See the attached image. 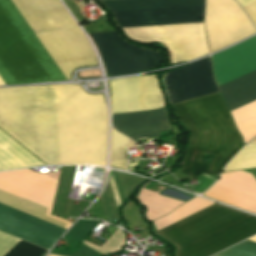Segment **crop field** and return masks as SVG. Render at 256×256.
Here are the masks:
<instances>
[{"label":"crop field","mask_w":256,"mask_h":256,"mask_svg":"<svg viewBox=\"0 0 256 256\" xmlns=\"http://www.w3.org/2000/svg\"><path fill=\"white\" fill-rule=\"evenodd\" d=\"M111 157L110 165L125 169L128 161L126 147L135 146L133 141L111 128Z\"/></svg>","instance_id":"21"},{"label":"crop field","mask_w":256,"mask_h":256,"mask_svg":"<svg viewBox=\"0 0 256 256\" xmlns=\"http://www.w3.org/2000/svg\"><path fill=\"white\" fill-rule=\"evenodd\" d=\"M45 165L0 129V170Z\"/></svg>","instance_id":"15"},{"label":"crop field","mask_w":256,"mask_h":256,"mask_svg":"<svg viewBox=\"0 0 256 256\" xmlns=\"http://www.w3.org/2000/svg\"><path fill=\"white\" fill-rule=\"evenodd\" d=\"M58 164L105 165L102 95L54 85ZM0 127L47 165L57 164L53 85L0 88Z\"/></svg>","instance_id":"1"},{"label":"crop field","mask_w":256,"mask_h":256,"mask_svg":"<svg viewBox=\"0 0 256 256\" xmlns=\"http://www.w3.org/2000/svg\"><path fill=\"white\" fill-rule=\"evenodd\" d=\"M229 111L256 100V70L219 86ZM234 123L247 143L256 135V101L231 111Z\"/></svg>","instance_id":"9"},{"label":"crop field","mask_w":256,"mask_h":256,"mask_svg":"<svg viewBox=\"0 0 256 256\" xmlns=\"http://www.w3.org/2000/svg\"><path fill=\"white\" fill-rule=\"evenodd\" d=\"M116 173L117 179H115L120 203H122L133 191L139 186L145 179L137 178L124 173ZM106 213L108 219H119L117 215V208L114 201V197L111 191L109 180L107 186L102 194Z\"/></svg>","instance_id":"17"},{"label":"crop field","mask_w":256,"mask_h":256,"mask_svg":"<svg viewBox=\"0 0 256 256\" xmlns=\"http://www.w3.org/2000/svg\"><path fill=\"white\" fill-rule=\"evenodd\" d=\"M0 85H5L4 82L0 78Z\"/></svg>","instance_id":"26"},{"label":"crop field","mask_w":256,"mask_h":256,"mask_svg":"<svg viewBox=\"0 0 256 256\" xmlns=\"http://www.w3.org/2000/svg\"><path fill=\"white\" fill-rule=\"evenodd\" d=\"M256 233V217L213 204L155 234L174 244L177 256H209Z\"/></svg>","instance_id":"6"},{"label":"crop field","mask_w":256,"mask_h":256,"mask_svg":"<svg viewBox=\"0 0 256 256\" xmlns=\"http://www.w3.org/2000/svg\"><path fill=\"white\" fill-rule=\"evenodd\" d=\"M48 256H56V255L48 254Z\"/></svg>","instance_id":"27"},{"label":"crop field","mask_w":256,"mask_h":256,"mask_svg":"<svg viewBox=\"0 0 256 256\" xmlns=\"http://www.w3.org/2000/svg\"><path fill=\"white\" fill-rule=\"evenodd\" d=\"M58 181L29 169L0 172V202L65 227L67 221L50 217V211ZM0 203V231L49 249L66 228L44 221ZM48 209V213H47ZM46 213L48 215H46Z\"/></svg>","instance_id":"4"},{"label":"crop field","mask_w":256,"mask_h":256,"mask_svg":"<svg viewBox=\"0 0 256 256\" xmlns=\"http://www.w3.org/2000/svg\"><path fill=\"white\" fill-rule=\"evenodd\" d=\"M214 202L196 197L193 198L192 200L186 202L185 204L181 205L180 207H178L176 210H174L172 213L163 216L157 220H155L153 223V225L155 226V228L158 230L212 204Z\"/></svg>","instance_id":"20"},{"label":"crop field","mask_w":256,"mask_h":256,"mask_svg":"<svg viewBox=\"0 0 256 256\" xmlns=\"http://www.w3.org/2000/svg\"><path fill=\"white\" fill-rule=\"evenodd\" d=\"M112 125L133 140L156 137L159 132L172 129L165 107L155 111L112 115Z\"/></svg>","instance_id":"14"},{"label":"crop field","mask_w":256,"mask_h":256,"mask_svg":"<svg viewBox=\"0 0 256 256\" xmlns=\"http://www.w3.org/2000/svg\"><path fill=\"white\" fill-rule=\"evenodd\" d=\"M215 256H256V243L245 240Z\"/></svg>","instance_id":"24"},{"label":"crop field","mask_w":256,"mask_h":256,"mask_svg":"<svg viewBox=\"0 0 256 256\" xmlns=\"http://www.w3.org/2000/svg\"><path fill=\"white\" fill-rule=\"evenodd\" d=\"M111 114L163 107L154 75L109 81Z\"/></svg>","instance_id":"10"},{"label":"crop field","mask_w":256,"mask_h":256,"mask_svg":"<svg viewBox=\"0 0 256 256\" xmlns=\"http://www.w3.org/2000/svg\"><path fill=\"white\" fill-rule=\"evenodd\" d=\"M138 199L146 207V218L150 221L171 212L183 203L143 189H141Z\"/></svg>","instance_id":"18"},{"label":"crop field","mask_w":256,"mask_h":256,"mask_svg":"<svg viewBox=\"0 0 256 256\" xmlns=\"http://www.w3.org/2000/svg\"><path fill=\"white\" fill-rule=\"evenodd\" d=\"M96 46L108 76L140 73L159 66L161 54L123 41L117 32L88 34Z\"/></svg>","instance_id":"7"},{"label":"crop field","mask_w":256,"mask_h":256,"mask_svg":"<svg viewBox=\"0 0 256 256\" xmlns=\"http://www.w3.org/2000/svg\"><path fill=\"white\" fill-rule=\"evenodd\" d=\"M68 78L97 65L84 34L59 0H10ZM9 0H0V77L7 85L69 80Z\"/></svg>","instance_id":"2"},{"label":"crop field","mask_w":256,"mask_h":256,"mask_svg":"<svg viewBox=\"0 0 256 256\" xmlns=\"http://www.w3.org/2000/svg\"><path fill=\"white\" fill-rule=\"evenodd\" d=\"M205 196L256 214V179L250 173H222Z\"/></svg>","instance_id":"12"},{"label":"crop field","mask_w":256,"mask_h":256,"mask_svg":"<svg viewBox=\"0 0 256 256\" xmlns=\"http://www.w3.org/2000/svg\"><path fill=\"white\" fill-rule=\"evenodd\" d=\"M124 237L125 232H121L119 229H117L101 247L85 240H83L82 243L104 255L122 249L124 244Z\"/></svg>","instance_id":"23"},{"label":"crop field","mask_w":256,"mask_h":256,"mask_svg":"<svg viewBox=\"0 0 256 256\" xmlns=\"http://www.w3.org/2000/svg\"><path fill=\"white\" fill-rule=\"evenodd\" d=\"M236 1H238L242 6L252 0H236ZM242 8L245 10V12L248 14V16L251 18V20L256 26V0L242 6Z\"/></svg>","instance_id":"25"},{"label":"crop field","mask_w":256,"mask_h":256,"mask_svg":"<svg viewBox=\"0 0 256 256\" xmlns=\"http://www.w3.org/2000/svg\"><path fill=\"white\" fill-rule=\"evenodd\" d=\"M120 27L203 23L204 0H102ZM135 41H160L172 64L208 54L203 24L121 28Z\"/></svg>","instance_id":"3"},{"label":"crop field","mask_w":256,"mask_h":256,"mask_svg":"<svg viewBox=\"0 0 256 256\" xmlns=\"http://www.w3.org/2000/svg\"><path fill=\"white\" fill-rule=\"evenodd\" d=\"M204 23L210 52L256 32L253 24L233 0H206Z\"/></svg>","instance_id":"8"},{"label":"crop field","mask_w":256,"mask_h":256,"mask_svg":"<svg viewBox=\"0 0 256 256\" xmlns=\"http://www.w3.org/2000/svg\"><path fill=\"white\" fill-rule=\"evenodd\" d=\"M217 85L256 69V36L211 57ZM226 84V83H225Z\"/></svg>","instance_id":"13"},{"label":"crop field","mask_w":256,"mask_h":256,"mask_svg":"<svg viewBox=\"0 0 256 256\" xmlns=\"http://www.w3.org/2000/svg\"><path fill=\"white\" fill-rule=\"evenodd\" d=\"M251 143H256L254 139ZM256 167V144L247 145L223 171Z\"/></svg>","instance_id":"22"},{"label":"crop field","mask_w":256,"mask_h":256,"mask_svg":"<svg viewBox=\"0 0 256 256\" xmlns=\"http://www.w3.org/2000/svg\"><path fill=\"white\" fill-rule=\"evenodd\" d=\"M75 169L76 167H62L51 213L77 216L80 212L82 202H80L79 206H75L71 205V199L66 198L72 187ZM86 205L87 203L83 202L82 209Z\"/></svg>","instance_id":"16"},{"label":"crop field","mask_w":256,"mask_h":256,"mask_svg":"<svg viewBox=\"0 0 256 256\" xmlns=\"http://www.w3.org/2000/svg\"><path fill=\"white\" fill-rule=\"evenodd\" d=\"M172 107L191 133L189 150L179 171L193 178L202 172L217 177L243 145L220 93ZM204 154L218 155L208 165L200 162Z\"/></svg>","instance_id":"5"},{"label":"crop field","mask_w":256,"mask_h":256,"mask_svg":"<svg viewBox=\"0 0 256 256\" xmlns=\"http://www.w3.org/2000/svg\"><path fill=\"white\" fill-rule=\"evenodd\" d=\"M20 239L0 232V256H4ZM46 250L21 240L5 256H41Z\"/></svg>","instance_id":"19"},{"label":"crop field","mask_w":256,"mask_h":256,"mask_svg":"<svg viewBox=\"0 0 256 256\" xmlns=\"http://www.w3.org/2000/svg\"><path fill=\"white\" fill-rule=\"evenodd\" d=\"M164 83L171 104L219 92L209 57L164 73Z\"/></svg>","instance_id":"11"}]
</instances>
